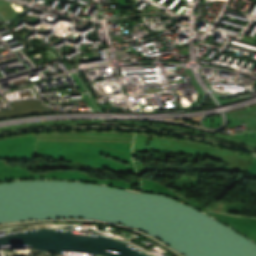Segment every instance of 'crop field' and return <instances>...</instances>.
Wrapping results in <instances>:
<instances>
[{"instance_id":"crop-field-2","label":"crop field","mask_w":256,"mask_h":256,"mask_svg":"<svg viewBox=\"0 0 256 256\" xmlns=\"http://www.w3.org/2000/svg\"><path fill=\"white\" fill-rule=\"evenodd\" d=\"M231 123L246 121L252 131H256V108L228 115Z\"/></svg>"},{"instance_id":"crop-field-1","label":"crop field","mask_w":256,"mask_h":256,"mask_svg":"<svg viewBox=\"0 0 256 256\" xmlns=\"http://www.w3.org/2000/svg\"><path fill=\"white\" fill-rule=\"evenodd\" d=\"M9 103L13 110H1L0 116L15 115V114H21V113H28V112L48 111L50 109L47 107H43L42 102L36 101V100L15 101V102H9ZM40 113H45V112L29 113V114H40ZM29 114H21V115H29ZM21 115L0 117V118L16 117Z\"/></svg>"}]
</instances>
